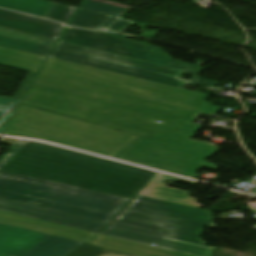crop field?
Returning <instances> with one entry per match:
<instances>
[{"label":"crop field","mask_w":256,"mask_h":256,"mask_svg":"<svg viewBox=\"0 0 256 256\" xmlns=\"http://www.w3.org/2000/svg\"><path fill=\"white\" fill-rule=\"evenodd\" d=\"M75 10V7L55 3L48 18L68 23Z\"/></svg>","instance_id":"4177f3b9"},{"label":"crop field","mask_w":256,"mask_h":256,"mask_svg":"<svg viewBox=\"0 0 256 256\" xmlns=\"http://www.w3.org/2000/svg\"><path fill=\"white\" fill-rule=\"evenodd\" d=\"M0 46L28 52V53H32V54H36L44 57H47V55L51 51V48H47V47H43V46L31 44V43H26V42L14 40V39H9L1 36H0Z\"/></svg>","instance_id":"00972430"},{"label":"crop field","mask_w":256,"mask_h":256,"mask_svg":"<svg viewBox=\"0 0 256 256\" xmlns=\"http://www.w3.org/2000/svg\"><path fill=\"white\" fill-rule=\"evenodd\" d=\"M36 74L29 73L14 99L0 97V134L20 103Z\"/></svg>","instance_id":"214f88e0"},{"label":"crop field","mask_w":256,"mask_h":256,"mask_svg":"<svg viewBox=\"0 0 256 256\" xmlns=\"http://www.w3.org/2000/svg\"><path fill=\"white\" fill-rule=\"evenodd\" d=\"M111 16L79 8L70 25L98 29Z\"/></svg>","instance_id":"92a150f3"},{"label":"crop field","mask_w":256,"mask_h":256,"mask_svg":"<svg viewBox=\"0 0 256 256\" xmlns=\"http://www.w3.org/2000/svg\"><path fill=\"white\" fill-rule=\"evenodd\" d=\"M81 8L113 15L103 26L99 28L100 30L121 32L133 24L132 21L121 18L125 13L129 11V9L126 8L106 5L90 0L83 2Z\"/></svg>","instance_id":"4a817a6b"},{"label":"crop field","mask_w":256,"mask_h":256,"mask_svg":"<svg viewBox=\"0 0 256 256\" xmlns=\"http://www.w3.org/2000/svg\"><path fill=\"white\" fill-rule=\"evenodd\" d=\"M118 157L185 177H193L201 167L218 169L217 164L205 161L207 156L142 137Z\"/></svg>","instance_id":"5a996713"},{"label":"crop field","mask_w":256,"mask_h":256,"mask_svg":"<svg viewBox=\"0 0 256 256\" xmlns=\"http://www.w3.org/2000/svg\"><path fill=\"white\" fill-rule=\"evenodd\" d=\"M0 223L15 226V227H21L26 228L74 241H85L89 242L96 234L43 221L38 220L30 217H25L13 213H8L4 211H0Z\"/></svg>","instance_id":"22f410ed"},{"label":"crop field","mask_w":256,"mask_h":256,"mask_svg":"<svg viewBox=\"0 0 256 256\" xmlns=\"http://www.w3.org/2000/svg\"><path fill=\"white\" fill-rule=\"evenodd\" d=\"M11 228V226L0 224V237Z\"/></svg>","instance_id":"eef30255"},{"label":"crop field","mask_w":256,"mask_h":256,"mask_svg":"<svg viewBox=\"0 0 256 256\" xmlns=\"http://www.w3.org/2000/svg\"><path fill=\"white\" fill-rule=\"evenodd\" d=\"M0 26L58 40L65 27L60 23L43 20L0 9Z\"/></svg>","instance_id":"cbeb9de0"},{"label":"crop field","mask_w":256,"mask_h":256,"mask_svg":"<svg viewBox=\"0 0 256 256\" xmlns=\"http://www.w3.org/2000/svg\"><path fill=\"white\" fill-rule=\"evenodd\" d=\"M26 229L12 227L0 238V254L9 256H64L80 243L43 234L20 253L3 249Z\"/></svg>","instance_id":"d1516ede"},{"label":"crop field","mask_w":256,"mask_h":256,"mask_svg":"<svg viewBox=\"0 0 256 256\" xmlns=\"http://www.w3.org/2000/svg\"><path fill=\"white\" fill-rule=\"evenodd\" d=\"M202 70H204V68L199 67L198 70L195 72V76H197L198 73H200ZM197 77H198V76H197ZM217 84H219V83L216 82L214 85H217ZM209 86H213V85H209Z\"/></svg>","instance_id":"ae1a2a85"},{"label":"crop field","mask_w":256,"mask_h":256,"mask_svg":"<svg viewBox=\"0 0 256 256\" xmlns=\"http://www.w3.org/2000/svg\"><path fill=\"white\" fill-rule=\"evenodd\" d=\"M212 212L136 195L113 223L204 244V226L214 227Z\"/></svg>","instance_id":"dd49c442"},{"label":"crop field","mask_w":256,"mask_h":256,"mask_svg":"<svg viewBox=\"0 0 256 256\" xmlns=\"http://www.w3.org/2000/svg\"><path fill=\"white\" fill-rule=\"evenodd\" d=\"M52 58L183 89L190 81L184 71L59 41Z\"/></svg>","instance_id":"e52e79f7"},{"label":"crop field","mask_w":256,"mask_h":256,"mask_svg":"<svg viewBox=\"0 0 256 256\" xmlns=\"http://www.w3.org/2000/svg\"><path fill=\"white\" fill-rule=\"evenodd\" d=\"M53 2L45 0H0V7L47 18L54 5Z\"/></svg>","instance_id":"bc2a9ffb"},{"label":"crop field","mask_w":256,"mask_h":256,"mask_svg":"<svg viewBox=\"0 0 256 256\" xmlns=\"http://www.w3.org/2000/svg\"><path fill=\"white\" fill-rule=\"evenodd\" d=\"M0 256H4V255H0Z\"/></svg>","instance_id":"750c4746"},{"label":"crop field","mask_w":256,"mask_h":256,"mask_svg":"<svg viewBox=\"0 0 256 256\" xmlns=\"http://www.w3.org/2000/svg\"><path fill=\"white\" fill-rule=\"evenodd\" d=\"M4 171L130 198L154 171L30 141Z\"/></svg>","instance_id":"ac0d7876"},{"label":"crop field","mask_w":256,"mask_h":256,"mask_svg":"<svg viewBox=\"0 0 256 256\" xmlns=\"http://www.w3.org/2000/svg\"><path fill=\"white\" fill-rule=\"evenodd\" d=\"M41 75L215 115L210 96L49 58Z\"/></svg>","instance_id":"f4fd0767"},{"label":"crop field","mask_w":256,"mask_h":256,"mask_svg":"<svg viewBox=\"0 0 256 256\" xmlns=\"http://www.w3.org/2000/svg\"><path fill=\"white\" fill-rule=\"evenodd\" d=\"M96 1H99V2H102V3H107V4H113V3H109V2H105V1H101V0H96ZM113 5H117V4H113ZM118 6H122V5H118ZM122 7H126V6H122ZM126 8H130V7H126Z\"/></svg>","instance_id":"d3111659"},{"label":"crop field","mask_w":256,"mask_h":256,"mask_svg":"<svg viewBox=\"0 0 256 256\" xmlns=\"http://www.w3.org/2000/svg\"><path fill=\"white\" fill-rule=\"evenodd\" d=\"M23 104L213 156L218 146L190 139L201 113L38 75ZM157 120L164 121L161 124Z\"/></svg>","instance_id":"8a807250"},{"label":"crop field","mask_w":256,"mask_h":256,"mask_svg":"<svg viewBox=\"0 0 256 256\" xmlns=\"http://www.w3.org/2000/svg\"><path fill=\"white\" fill-rule=\"evenodd\" d=\"M66 256H137L88 244H80Z\"/></svg>","instance_id":"dafd665d"},{"label":"crop field","mask_w":256,"mask_h":256,"mask_svg":"<svg viewBox=\"0 0 256 256\" xmlns=\"http://www.w3.org/2000/svg\"><path fill=\"white\" fill-rule=\"evenodd\" d=\"M61 40L185 70L184 74L193 76L191 80L194 82L192 84H214L213 82L200 80L194 76V72L198 68L197 66L176 62L165 52L148 43L100 32L71 28H67Z\"/></svg>","instance_id":"d8731c3e"},{"label":"crop field","mask_w":256,"mask_h":256,"mask_svg":"<svg viewBox=\"0 0 256 256\" xmlns=\"http://www.w3.org/2000/svg\"><path fill=\"white\" fill-rule=\"evenodd\" d=\"M174 180L178 182H185L194 184V181H190L187 179L158 173L149 183L148 185L139 193L140 195L160 198L164 200H169L173 202L183 203L187 205H192L196 207H203L204 205L196 204L197 199L188 197L187 192L173 189L171 187H167L163 185V182Z\"/></svg>","instance_id":"5142ce71"},{"label":"crop field","mask_w":256,"mask_h":256,"mask_svg":"<svg viewBox=\"0 0 256 256\" xmlns=\"http://www.w3.org/2000/svg\"><path fill=\"white\" fill-rule=\"evenodd\" d=\"M0 35L9 37V38L22 40V41L35 43V44H39V45H43V46H47V47H51V48H53L54 44L57 42L55 40L23 33L20 31H16V30L4 28V27H0Z\"/></svg>","instance_id":"a9b5d70f"},{"label":"crop field","mask_w":256,"mask_h":256,"mask_svg":"<svg viewBox=\"0 0 256 256\" xmlns=\"http://www.w3.org/2000/svg\"><path fill=\"white\" fill-rule=\"evenodd\" d=\"M29 141L0 158V196L110 222L129 199L1 171Z\"/></svg>","instance_id":"34b2d1b8"},{"label":"crop field","mask_w":256,"mask_h":256,"mask_svg":"<svg viewBox=\"0 0 256 256\" xmlns=\"http://www.w3.org/2000/svg\"><path fill=\"white\" fill-rule=\"evenodd\" d=\"M91 244L141 256H188L102 235H99Z\"/></svg>","instance_id":"d9b57169"},{"label":"crop field","mask_w":256,"mask_h":256,"mask_svg":"<svg viewBox=\"0 0 256 256\" xmlns=\"http://www.w3.org/2000/svg\"><path fill=\"white\" fill-rule=\"evenodd\" d=\"M40 235H42V233L28 230L26 233H24L22 236H20L14 242H12L10 245H8L6 247V249L20 252L26 246H28L31 242H33L35 239H37Z\"/></svg>","instance_id":"730fd06b"},{"label":"crop field","mask_w":256,"mask_h":256,"mask_svg":"<svg viewBox=\"0 0 256 256\" xmlns=\"http://www.w3.org/2000/svg\"><path fill=\"white\" fill-rule=\"evenodd\" d=\"M45 58L0 47V65L38 73Z\"/></svg>","instance_id":"733c2abd"},{"label":"crop field","mask_w":256,"mask_h":256,"mask_svg":"<svg viewBox=\"0 0 256 256\" xmlns=\"http://www.w3.org/2000/svg\"><path fill=\"white\" fill-rule=\"evenodd\" d=\"M0 210L60 223L98 233L108 223L50 208L0 197Z\"/></svg>","instance_id":"28ad6ade"},{"label":"crop field","mask_w":256,"mask_h":256,"mask_svg":"<svg viewBox=\"0 0 256 256\" xmlns=\"http://www.w3.org/2000/svg\"><path fill=\"white\" fill-rule=\"evenodd\" d=\"M4 134L42 139L114 157L138 136L20 105Z\"/></svg>","instance_id":"412701ff"},{"label":"crop field","mask_w":256,"mask_h":256,"mask_svg":"<svg viewBox=\"0 0 256 256\" xmlns=\"http://www.w3.org/2000/svg\"><path fill=\"white\" fill-rule=\"evenodd\" d=\"M101 234L149 246H153L151 244L155 243L158 244L156 246L158 248L192 256H213L212 252L216 249L214 247L157 235L113 223H110Z\"/></svg>","instance_id":"3316defc"}]
</instances>
